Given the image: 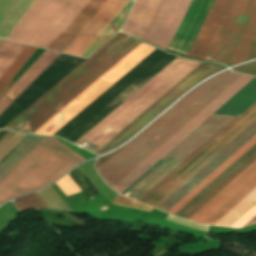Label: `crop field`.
Here are the masks:
<instances>
[{
  "instance_id": "1",
  "label": "crop field",
  "mask_w": 256,
  "mask_h": 256,
  "mask_svg": "<svg viewBox=\"0 0 256 256\" xmlns=\"http://www.w3.org/2000/svg\"><path fill=\"white\" fill-rule=\"evenodd\" d=\"M241 76L242 74L225 71L193 89L133 141L98 168V173L111 187L116 185ZM252 79L253 77L245 75L239 78L112 189L120 193L125 190Z\"/></svg>"
},
{
  "instance_id": "2",
  "label": "crop field",
  "mask_w": 256,
  "mask_h": 256,
  "mask_svg": "<svg viewBox=\"0 0 256 256\" xmlns=\"http://www.w3.org/2000/svg\"><path fill=\"white\" fill-rule=\"evenodd\" d=\"M140 43L129 36L123 40L114 36L4 128L33 133Z\"/></svg>"
},
{
  "instance_id": "3",
  "label": "crop field",
  "mask_w": 256,
  "mask_h": 256,
  "mask_svg": "<svg viewBox=\"0 0 256 256\" xmlns=\"http://www.w3.org/2000/svg\"><path fill=\"white\" fill-rule=\"evenodd\" d=\"M255 101L256 78L250 81L213 114L239 116ZM235 118L237 117L211 115L197 129H195L189 136H187L181 143L163 157L161 159L162 162L160 163L159 161L157 163H160L159 165L155 164L125 191H123L122 194L127 192L157 165L151 172H149L143 179L124 194L125 196L141 201L197 151L206 145L212 138L221 132L227 125H229Z\"/></svg>"
},
{
  "instance_id": "4",
  "label": "crop field",
  "mask_w": 256,
  "mask_h": 256,
  "mask_svg": "<svg viewBox=\"0 0 256 256\" xmlns=\"http://www.w3.org/2000/svg\"><path fill=\"white\" fill-rule=\"evenodd\" d=\"M86 160L53 137H45L0 181V203L40 188Z\"/></svg>"
},
{
  "instance_id": "5",
  "label": "crop field",
  "mask_w": 256,
  "mask_h": 256,
  "mask_svg": "<svg viewBox=\"0 0 256 256\" xmlns=\"http://www.w3.org/2000/svg\"><path fill=\"white\" fill-rule=\"evenodd\" d=\"M198 64L200 63L177 57L75 144L86 139L101 146Z\"/></svg>"
},
{
  "instance_id": "6",
  "label": "crop field",
  "mask_w": 256,
  "mask_h": 256,
  "mask_svg": "<svg viewBox=\"0 0 256 256\" xmlns=\"http://www.w3.org/2000/svg\"><path fill=\"white\" fill-rule=\"evenodd\" d=\"M153 50L155 48L142 42L34 133L49 135L55 133ZM52 123L55 125L46 131L45 129Z\"/></svg>"
},
{
  "instance_id": "7",
  "label": "crop field",
  "mask_w": 256,
  "mask_h": 256,
  "mask_svg": "<svg viewBox=\"0 0 256 256\" xmlns=\"http://www.w3.org/2000/svg\"><path fill=\"white\" fill-rule=\"evenodd\" d=\"M246 0H215L188 56L216 61Z\"/></svg>"
},
{
  "instance_id": "8",
  "label": "crop field",
  "mask_w": 256,
  "mask_h": 256,
  "mask_svg": "<svg viewBox=\"0 0 256 256\" xmlns=\"http://www.w3.org/2000/svg\"><path fill=\"white\" fill-rule=\"evenodd\" d=\"M127 3L128 2L124 1L107 0L64 52L82 56ZM132 3L133 2H129L127 4L113 22L85 52L83 57L90 55L94 50L119 31Z\"/></svg>"
},
{
  "instance_id": "9",
  "label": "crop field",
  "mask_w": 256,
  "mask_h": 256,
  "mask_svg": "<svg viewBox=\"0 0 256 256\" xmlns=\"http://www.w3.org/2000/svg\"><path fill=\"white\" fill-rule=\"evenodd\" d=\"M255 104H253L247 111H249ZM246 111V112H247ZM245 112V113H246ZM245 113H243L240 117H242ZM239 117V118H240ZM238 118V119H239ZM237 119V120H238ZM256 119V106H254L249 112H247L242 118H240L238 121L235 120L232 124L236 123L234 125L228 126L225 130L229 129L227 131L221 132L218 136L222 135L220 137L214 138L211 142L215 141L212 144H207L203 149H205L208 145V147L205 150H200L196 155H198L201 151V153L198 156H193L189 161H191L194 157V159L191 162L185 163L181 168H183L186 164V166L183 169H178L174 174H176L179 170V172L176 175H171L167 180H169L172 176V178L169 181H164L160 186H162L165 182V184L162 187H157L152 193H154L158 188V190L154 194H149L145 199H147L150 195V197L147 200H142L144 203H147L153 207H155L158 203H160L166 196H168L174 189H176L181 183H183L189 176H191L197 169H199L204 163H206L212 156H214L219 150H221L227 143H229L235 136H237L242 130H244L250 123H252Z\"/></svg>"
},
{
  "instance_id": "10",
  "label": "crop field",
  "mask_w": 256,
  "mask_h": 256,
  "mask_svg": "<svg viewBox=\"0 0 256 256\" xmlns=\"http://www.w3.org/2000/svg\"><path fill=\"white\" fill-rule=\"evenodd\" d=\"M225 67L214 64L201 63L103 146H101L95 153L101 154L109 151L116 146L124 143L138 130H140L147 122L155 117L159 112L173 103L182 93L190 89L193 85L197 84L207 76L214 74ZM148 124V123H147Z\"/></svg>"
},
{
  "instance_id": "11",
  "label": "crop field",
  "mask_w": 256,
  "mask_h": 256,
  "mask_svg": "<svg viewBox=\"0 0 256 256\" xmlns=\"http://www.w3.org/2000/svg\"><path fill=\"white\" fill-rule=\"evenodd\" d=\"M256 187V161L222 189L189 220L213 224ZM216 223V222H215Z\"/></svg>"
},
{
  "instance_id": "12",
  "label": "crop field",
  "mask_w": 256,
  "mask_h": 256,
  "mask_svg": "<svg viewBox=\"0 0 256 256\" xmlns=\"http://www.w3.org/2000/svg\"><path fill=\"white\" fill-rule=\"evenodd\" d=\"M255 134L256 120L237 137H235L229 144H227L221 151H219L214 157L212 156L213 158H211L199 170L197 169L198 171H196L191 177L189 176L190 178H188L176 190L174 189L175 191H173L168 197L166 196L167 198H165L160 204L158 203L159 205H157L156 208L167 212Z\"/></svg>"
},
{
  "instance_id": "13",
  "label": "crop field",
  "mask_w": 256,
  "mask_h": 256,
  "mask_svg": "<svg viewBox=\"0 0 256 256\" xmlns=\"http://www.w3.org/2000/svg\"><path fill=\"white\" fill-rule=\"evenodd\" d=\"M256 36V0H248L230 33L217 62L233 65L243 62Z\"/></svg>"
},
{
  "instance_id": "14",
  "label": "crop field",
  "mask_w": 256,
  "mask_h": 256,
  "mask_svg": "<svg viewBox=\"0 0 256 256\" xmlns=\"http://www.w3.org/2000/svg\"><path fill=\"white\" fill-rule=\"evenodd\" d=\"M192 0H163L144 40L168 49Z\"/></svg>"
},
{
  "instance_id": "15",
  "label": "crop field",
  "mask_w": 256,
  "mask_h": 256,
  "mask_svg": "<svg viewBox=\"0 0 256 256\" xmlns=\"http://www.w3.org/2000/svg\"><path fill=\"white\" fill-rule=\"evenodd\" d=\"M255 153L256 143L241 157H239L233 164H231L225 171H223L218 177H216L210 184H208L202 191H200L194 198H192L186 205H184L178 212H176L175 215H179L182 217L184 214H186L192 207H194L199 201H201L207 194H209L214 188H216L222 181H224L229 175H231L237 168H239ZM255 160L256 154L251 157L246 163H244L239 169H237L224 182H222L209 195H207L194 208H192L186 215H184L183 218L188 219L191 215H193L199 208H201L206 202H208L214 195H216L222 188H224L230 181H232Z\"/></svg>"
},
{
  "instance_id": "16",
  "label": "crop field",
  "mask_w": 256,
  "mask_h": 256,
  "mask_svg": "<svg viewBox=\"0 0 256 256\" xmlns=\"http://www.w3.org/2000/svg\"><path fill=\"white\" fill-rule=\"evenodd\" d=\"M64 0H35L9 40L29 44Z\"/></svg>"
},
{
  "instance_id": "17",
  "label": "crop field",
  "mask_w": 256,
  "mask_h": 256,
  "mask_svg": "<svg viewBox=\"0 0 256 256\" xmlns=\"http://www.w3.org/2000/svg\"><path fill=\"white\" fill-rule=\"evenodd\" d=\"M214 0H193L170 47L188 53Z\"/></svg>"
},
{
  "instance_id": "18",
  "label": "crop field",
  "mask_w": 256,
  "mask_h": 256,
  "mask_svg": "<svg viewBox=\"0 0 256 256\" xmlns=\"http://www.w3.org/2000/svg\"><path fill=\"white\" fill-rule=\"evenodd\" d=\"M87 1L65 0L30 44L47 48Z\"/></svg>"
},
{
  "instance_id": "19",
  "label": "crop field",
  "mask_w": 256,
  "mask_h": 256,
  "mask_svg": "<svg viewBox=\"0 0 256 256\" xmlns=\"http://www.w3.org/2000/svg\"><path fill=\"white\" fill-rule=\"evenodd\" d=\"M60 54L45 50L0 99V113L25 90Z\"/></svg>"
},
{
  "instance_id": "20",
  "label": "crop field",
  "mask_w": 256,
  "mask_h": 256,
  "mask_svg": "<svg viewBox=\"0 0 256 256\" xmlns=\"http://www.w3.org/2000/svg\"><path fill=\"white\" fill-rule=\"evenodd\" d=\"M105 1L89 0L48 48L63 52Z\"/></svg>"
},
{
  "instance_id": "21",
  "label": "crop field",
  "mask_w": 256,
  "mask_h": 256,
  "mask_svg": "<svg viewBox=\"0 0 256 256\" xmlns=\"http://www.w3.org/2000/svg\"><path fill=\"white\" fill-rule=\"evenodd\" d=\"M161 0H136L122 31L143 38Z\"/></svg>"
},
{
  "instance_id": "22",
  "label": "crop field",
  "mask_w": 256,
  "mask_h": 256,
  "mask_svg": "<svg viewBox=\"0 0 256 256\" xmlns=\"http://www.w3.org/2000/svg\"><path fill=\"white\" fill-rule=\"evenodd\" d=\"M34 0H0V37L7 39Z\"/></svg>"
},
{
  "instance_id": "23",
  "label": "crop field",
  "mask_w": 256,
  "mask_h": 256,
  "mask_svg": "<svg viewBox=\"0 0 256 256\" xmlns=\"http://www.w3.org/2000/svg\"><path fill=\"white\" fill-rule=\"evenodd\" d=\"M255 142H256V135L250 141H248L242 148H240L234 155H232L226 162H224L218 169H216L211 175H209L203 182H201L195 189H193L187 196H185L179 203H177L171 210H169L168 213L174 214L176 211H178L184 204H186L192 197H194L216 176H218L223 170H225L231 163H233Z\"/></svg>"
},
{
  "instance_id": "24",
  "label": "crop field",
  "mask_w": 256,
  "mask_h": 256,
  "mask_svg": "<svg viewBox=\"0 0 256 256\" xmlns=\"http://www.w3.org/2000/svg\"><path fill=\"white\" fill-rule=\"evenodd\" d=\"M256 203V188L252 190L246 197L230 209L224 216H222L216 223L217 225L230 226L241 215H243L249 208Z\"/></svg>"
},
{
  "instance_id": "25",
  "label": "crop field",
  "mask_w": 256,
  "mask_h": 256,
  "mask_svg": "<svg viewBox=\"0 0 256 256\" xmlns=\"http://www.w3.org/2000/svg\"><path fill=\"white\" fill-rule=\"evenodd\" d=\"M26 45L6 40L0 48V77L24 50Z\"/></svg>"
},
{
  "instance_id": "26",
  "label": "crop field",
  "mask_w": 256,
  "mask_h": 256,
  "mask_svg": "<svg viewBox=\"0 0 256 256\" xmlns=\"http://www.w3.org/2000/svg\"><path fill=\"white\" fill-rule=\"evenodd\" d=\"M36 49V47L27 46L21 55L16 59V61L11 65V67L6 71V73L1 77L0 93L16 75V73L21 69V67L26 63V61L31 57V55L36 51Z\"/></svg>"
},
{
  "instance_id": "27",
  "label": "crop field",
  "mask_w": 256,
  "mask_h": 256,
  "mask_svg": "<svg viewBox=\"0 0 256 256\" xmlns=\"http://www.w3.org/2000/svg\"><path fill=\"white\" fill-rule=\"evenodd\" d=\"M55 183L66 196L81 192L80 188L75 184L68 174Z\"/></svg>"
},
{
  "instance_id": "28",
  "label": "crop field",
  "mask_w": 256,
  "mask_h": 256,
  "mask_svg": "<svg viewBox=\"0 0 256 256\" xmlns=\"http://www.w3.org/2000/svg\"><path fill=\"white\" fill-rule=\"evenodd\" d=\"M112 203L121 205V206H125V207H129V208L142 209V210H145L148 212H151L153 210V208H151V207L143 205L137 201L131 200L124 196L117 197L114 201H112Z\"/></svg>"
},
{
  "instance_id": "29",
  "label": "crop field",
  "mask_w": 256,
  "mask_h": 256,
  "mask_svg": "<svg viewBox=\"0 0 256 256\" xmlns=\"http://www.w3.org/2000/svg\"><path fill=\"white\" fill-rule=\"evenodd\" d=\"M256 214V206H253L249 211H247L242 217H240L234 224H232V227L239 228L241 227L244 223H246L252 216ZM256 222V215L251 218L245 225L255 223Z\"/></svg>"
},
{
  "instance_id": "30",
  "label": "crop field",
  "mask_w": 256,
  "mask_h": 256,
  "mask_svg": "<svg viewBox=\"0 0 256 256\" xmlns=\"http://www.w3.org/2000/svg\"><path fill=\"white\" fill-rule=\"evenodd\" d=\"M232 69L238 72L256 76V61Z\"/></svg>"
},
{
  "instance_id": "31",
  "label": "crop field",
  "mask_w": 256,
  "mask_h": 256,
  "mask_svg": "<svg viewBox=\"0 0 256 256\" xmlns=\"http://www.w3.org/2000/svg\"><path fill=\"white\" fill-rule=\"evenodd\" d=\"M167 220H170V221H173V222H176V223H179V224H183V225H186V226H189V227H192V228H195V229H199V230L206 231V229H207V226L198 225V224H195V223H192V222H189V221H186V220H182V219L170 216V215H168Z\"/></svg>"
},
{
  "instance_id": "32",
  "label": "crop field",
  "mask_w": 256,
  "mask_h": 256,
  "mask_svg": "<svg viewBox=\"0 0 256 256\" xmlns=\"http://www.w3.org/2000/svg\"><path fill=\"white\" fill-rule=\"evenodd\" d=\"M125 146V145H124ZM123 146V147H124ZM123 147H121V148H123ZM120 148V149H121ZM119 149V150H120ZM119 150H117V151H115V152H113V153H111V154H108V155H106V156H103V157H101V158H99L98 159V161H97V163H96V165H95V167H96V169L98 168V167H100L103 163H105L109 158H111L115 153H117Z\"/></svg>"
},
{
  "instance_id": "33",
  "label": "crop field",
  "mask_w": 256,
  "mask_h": 256,
  "mask_svg": "<svg viewBox=\"0 0 256 256\" xmlns=\"http://www.w3.org/2000/svg\"><path fill=\"white\" fill-rule=\"evenodd\" d=\"M253 58H256V39H255V41H254L246 59L244 61L249 60V59H253Z\"/></svg>"
},
{
  "instance_id": "34",
  "label": "crop field",
  "mask_w": 256,
  "mask_h": 256,
  "mask_svg": "<svg viewBox=\"0 0 256 256\" xmlns=\"http://www.w3.org/2000/svg\"><path fill=\"white\" fill-rule=\"evenodd\" d=\"M14 133L8 132L1 140L0 147L13 135Z\"/></svg>"
},
{
  "instance_id": "35",
  "label": "crop field",
  "mask_w": 256,
  "mask_h": 256,
  "mask_svg": "<svg viewBox=\"0 0 256 256\" xmlns=\"http://www.w3.org/2000/svg\"><path fill=\"white\" fill-rule=\"evenodd\" d=\"M5 42L4 39H0V47L2 46V44Z\"/></svg>"
}]
</instances>
